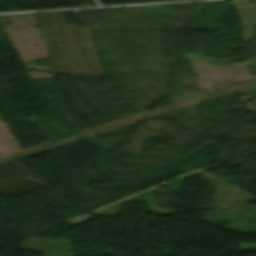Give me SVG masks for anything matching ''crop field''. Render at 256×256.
I'll list each match as a JSON object with an SVG mask.
<instances>
[{
	"mask_svg": "<svg viewBox=\"0 0 256 256\" xmlns=\"http://www.w3.org/2000/svg\"><path fill=\"white\" fill-rule=\"evenodd\" d=\"M242 251L256 250V243L254 244H240Z\"/></svg>",
	"mask_w": 256,
	"mask_h": 256,
	"instance_id": "crop-field-1",
	"label": "crop field"
}]
</instances>
